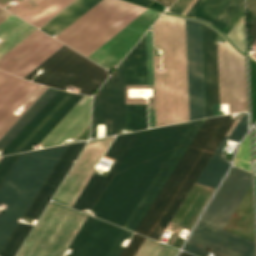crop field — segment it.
I'll return each instance as SVG.
<instances>
[{
	"label": "crop field",
	"mask_w": 256,
	"mask_h": 256,
	"mask_svg": "<svg viewBox=\"0 0 256 256\" xmlns=\"http://www.w3.org/2000/svg\"><path fill=\"white\" fill-rule=\"evenodd\" d=\"M248 9L253 13L252 21L256 18V0H248Z\"/></svg>",
	"instance_id": "obj_45"
},
{
	"label": "crop field",
	"mask_w": 256,
	"mask_h": 256,
	"mask_svg": "<svg viewBox=\"0 0 256 256\" xmlns=\"http://www.w3.org/2000/svg\"><path fill=\"white\" fill-rule=\"evenodd\" d=\"M238 123V122H237ZM235 127L234 124L230 127L227 135L232 131ZM248 131V123H247V114L239 121L233 131L229 136H225L219 147L211 157L210 161L202 171L201 175L197 179L196 183H200L203 185H207L210 187H216L219 180L227 170L230 163L226 162V160L222 156L223 148L226 144V139L229 138L234 141H239L243 135Z\"/></svg>",
	"instance_id": "obj_24"
},
{
	"label": "crop field",
	"mask_w": 256,
	"mask_h": 256,
	"mask_svg": "<svg viewBox=\"0 0 256 256\" xmlns=\"http://www.w3.org/2000/svg\"><path fill=\"white\" fill-rule=\"evenodd\" d=\"M205 36L207 59L208 106L210 117L211 103L219 102L217 45H214L213 42V40H217V32L205 26Z\"/></svg>",
	"instance_id": "obj_27"
},
{
	"label": "crop field",
	"mask_w": 256,
	"mask_h": 256,
	"mask_svg": "<svg viewBox=\"0 0 256 256\" xmlns=\"http://www.w3.org/2000/svg\"><path fill=\"white\" fill-rule=\"evenodd\" d=\"M145 240V237L140 236L138 234H134L128 247L122 250L121 254L119 256H135L138 249L142 245L143 241Z\"/></svg>",
	"instance_id": "obj_38"
},
{
	"label": "crop field",
	"mask_w": 256,
	"mask_h": 256,
	"mask_svg": "<svg viewBox=\"0 0 256 256\" xmlns=\"http://www.w3.org/2000/svg\"><path fill=\"white\" fill-rule=\"evenodd\" d=\"M242 5L243 0H228L210 23L222 30Z\"/></svg>",
	"instance_id": "obj_34"
},
{
	"label": "crop field",
	"mask_w": 256,
	"mask_h": 256,
	"mask_svg": "<svg viewBox=\"0 0 256 256\" xmlns=\"http://www.w3.org/2000/svg\"><path fill=\"white\" fill-rule=\"evenodd\" d=\"M99 1L100 0H76L63 12L42 27L41 30L51 36L57 35Z\"/></svg>",
	"instance_id": "obj_29"
},
{
	"label": "crop field",
	"mask_w": 256,
	"mask_h": 256,
	"mask_svg": "<svg viewBox=\"0 0 256 256\" xmlns=\"http://www.w3.org/2000/svg\"><path fill=\"white\" fill-rule=\"evenodd\" d=\"M191 0H177L176 3L170 8L171 12L181 14L184 8Z\"/></svg>",
	"instance_id": "obj_44"
},
{
	"label": "crop field",
	"mask_w": 256,
	"mask_h": 256,
	"mask_svg": "<svg viewBox=\"0 0 256 256\" xmlns=\"http://www.w3.org/2000/svg\"><path fill=\"white\" fill-rule=\"evenodd\" d=\"M220 103H228L230 113L247 109L245 56L229 42L218 45Z\"/></svg>",
	"instance_id": "obj_11"
},
{
	"label": "crop field",
	"mask_w": 256,
	"mask_h": 256,
	"mask_svg": "<svg viewBox=\"0 0 256 256\" xmlns=\"http://www.w3.org/2000/svg\"><path fill=\"white\" fill-rule=\"evenodd\" d=\"M131 234V232L122 229L106 256H118L123 249V247L120 246L122 241L129 238Z\"/></svg>",
	"instance_id": "obj_40"
},
{
	"label": "crop field",
	"mask_w": 256,
	"mask_h": 256,
	"mask_svg": "<svg viewBox=\"0 0 256 256\" xmlns=\"http://www.w3.org/2000/svg\"><path fill=\"white\" fill-rule=\"evenodd\" d=\"M159 14L148 9L88 58L103 67H115Z\"/></svg>",
	"instance_id": "obj_16"
},
{
	"label": "crop field",
	"mask_w": 256,
	"mask_h": 256,
	"mask_svg": "<svg viewBox=\"0 0 256 256\" xmlns=\"http://www.w3.org/2000/svg\"><path fill=\"white\" fill-rule=\"evenodd\" d=\"M35 85L0 71V121Z\"/></svg>",
	"instance_id": "obj_26"
},
{
	"label": "crop field",
	"mask_w": 256,
	"mask_h": 256,
	"mask_svg": "<svg viewBox=\"0 0 256 256\" xmlns=\"http://www.w3.org/2000/svg\"><path fill=\"white\" fill-rule=\"evenodd\" d=\"M196 0H192L191 3L187 6V8L183 11V15L186 14V12L190 9V7L195 3Z\"/></svg>",
	"instance_id": "obj_51"
},
{
	"label": "crop field",
	"mask_w": 256,
	"mask_h": 256,
	"mask_svg": "<svg viewBox=\"0 0 256 256\" xmlns=\"http://www.w3.org/2000/svg\"><path fill=\"white\" fill-rule=\"evenodd\" d=\"M125 84H147L145 37L124 59ZM127 88L147 85H125L126 103H146L142 98H127ZM127 128H147L146 104H126Z\"/></svg>",
	"instance_id": "obj_14"
},
{
	"label": "crop field",
	"mask_w": 256,
	"mask_h": 256,
	"mask_svg": "<svg viewBox=\"0 0 256 256\" xmlns=\"http://www.w3.org/2000/svg\"><path fill=\"white\" fill-rule=\"evenodd\" d=\"M8 15H10V13L0 8V22L4 20Z\"/></svg>",
	"instance_id": "obj_49"
},
{
	"label": "crop field",
	"mask_w": 256,
	"mask_h": 256,
	"mask_svg": "<svg viewBox=\"0 0 256 256\" xmlns=\"http://www.w3.org/2000/svg\"><path fill=\"white\" fill-rule=\"evenodd\" d=\"M154 88L156 126L189 120L184 20L161 16L154 24ZM165 67V73H156ZM164 72V68H157Z\"/></svg>",
	"instance_id": "obj_2"
},
{
	"label": "crop field",
	"mask_w": 256,
	"mask_h": 256,
	"mask_svg": "<svg viewBox=\"0 0 256 256\" xmlns=\"http://www.w3.org/2000/svg\"><path fill=\"white\" fill-rule=\"evenodd\" d=\"M146 48H147V72L148 84H153V65H152V39L151 31L146 34Z\"/></svg>",
	"instance_id": "obj_39"
},
{
	"label": "crop field",
	"mask_w": 256,
	"mask_h": 256,
	"mask_svg": "<svg viewBox=\"0 0 256 256\" xmlns=\"http://www.w3.org/2000/svg\"><path fill=\"white\" fill-rule=\"evenodd\" d=\"M112 139L113 137H108L89 141L87 147L55 194L54 201L71 207Z\"/></svg>",
	"instance_id": "obj_15"
},
{
	"label": "crop field",
	"mask_w": 256,
	"mask_h": 256,
	"mask_svg": "<svg viewBox=\"0 0 256 256\" xmlns=\"http://www.w3.org/2000/svg\"><path fill=\"white\" fill-rule=\"evenodd\" d=\"M85 218L51 202L17 256H62Z\"/></svg>",
	"instance_id": "obj_7"
},
{
	"label": "crop field",
	"mask_w": 256,
	"mask_h": 256,
	"mask_svg": "<svg viewBox=\"0 0 256 256\" xmlns=\"http://www.w3.org/2000/svg\"><path fill=\"white\" fill-rule=\"evenodd\" d=\"M213 191L214 188L194 183L167 226V229L174 231L167 244L178 248L181 247L184 240L178 237V231L181 227L191 229Z\"/></svg>",
	"instance_id": "obj_21"
},
{
	"label": "crop field",
	"mask_w": 256,
	"mask_h": 256,
	"mask_svg": "<svg viewBox=\"0 0 256 256\" xmlns=\"http://www.w3.org/2000/svg\"><path fill=\"white\" fill-rule=\"evenodd\" d=\"M140 133L141 131L121 134L114 139L106 155L115 157L117 160L115 161L106 177L93 173L90 180L73 205V208L79 210L84 208H92Z\"/></svg>",
	"instance_id": "obj_20"
},
{
	"label": "crop field",
	"mask_w": 256,
	"mask_h": 256,
	"mask_svg": "<svg viewBox=\"0 0 256 256\" xmlns=\"http://www.w3.org/2000/svg\"><path fill=\"white\" fill-rule=\"evenodd\" d=\"M251 36H252V44L256 40V19L251 24Z\"/></svg>",
	"instance_id": "obj_46"
},
{
	"label": "crop field",
	"mask_w": 256,
	"mask_h": 256,
	"mask_svg": "<svg viewBox=\"0 0 256 256\" xmlns=\"http://www.w3.org/2000/svg\"><path fill=\"white\" fill-rule=\"evenodd\" d=\"M189 124L142 131L93 207L95 216L124 227Z\"/></svg>",
	"instance_id": "obj_1"
},
{
	"label": "crop field",
	"mask_w": 256,
	"mask_h": 256,
	"mask_svg": "<svg viewBox=\"0 0 256 256\" xmlns=\"http://www.w3.org/2000/svg\"><path fill=\"white\" fill-rule=\"evenodd\" d=\"M179 256H192V255L187 254V253H185V252H181V254H180Z\"/></svg>",
	"instance_id": "obj_53"
},
{
	"label": "crop field",
	"mask_w": 256,
	"mask_h": 256,
	"mask_svg": "<svg viewBox=\"0 0 256 256\" xmlns=\"http://www.w3.org/2000/svg\"><path fill=\"white\" fill-rule=\"evenodd\" d=\"M243 15V6L241 9L236 13V15L230 20V22L225 26V28L222 30L226 35L228 32L232 29V27L237 23V21L241 18Z\"/></svg>",
	"instance_id": "obj_43"
},
{
	"label": "crop field",
	"mask_w": 256,
	"mask_h": 256,
	"mask_svg": "<svg viewBox=\"0 0 256 256\" xmlns=\"http://www.w3.org/2000/svg\"><path fill=\"white\" fill-rule=\"evenodd\" d=\"M202 35H203L204 82H205V106H206V117H208L207 83H206V59H205V36H204V25L203 24H202Z\"/></svg>",
	"instance_id": "obj_42"
},
{
	"label": "crop field",
	"mask_w": 256,
	"mask_h": 256,
	"mask_svg": "<svg viewBox=\"0 0 256 256\" xmlns=\"http://www.w3.org/2000/svg\"><path fill=\"white\" fill-rule=\"evenodd\" d=\"M252 56L254 58H256V48L255 47H253V49H252Z\"/></svg>",
	"instance_id": "obj_52"
},
{
	"label": "crop field",
	"mask_w": 256,
	"mask_h": 256,
	"mask_svg": "<svg viewBox=\"0 0 256 256\" xmlns=\"http://www.w3.org/2000/svg\"><path fill=\"white\" fill-rule=\"evenodd\" d=\"M97 124H105L106 136L126 128L123 61L94 97L91 137H96Z\"/></svg>",
	"instance_id": "obj_8"
},
{
	"label": "crop field",
	"mask_w": 256,
	"mask_h": 256,
	"mask_svg": "<svg viewBox=\"0 0 256 256\" xmlns=\"http://www.w3.org/2000/svg\"><path fill=\"white\" fill-rule=\"evenodd\" d=\"M230 40L244 51V27L243 16L227 35Z\"/></svg>",
	"instance_id": "obj_37"
},
{
	"label": "crop field",
	"mask_w": 256,
	"mask_h": 256,
	"mask_svg": "<svg viewBox=\"0 0 256 256\" xmlns=\"http://www.w3.org/2000/svg\"><path fill=\"white\" fill-rule=\"evenodd\" d=\"M6 1H8V0H0V3H5ZM21 1V0H20Z\"/></svg>",
	"instance_id": "obj_54"
},
{
	"label": "crop field",
	"mask_w": 256,
	"mask_h": 256,
	"mask_svg": "<svg viewBox=\"0 0 256 256\" xmlns=\"http://www.w3.org/2000/svg\"><path fill=\"white\" fill-rule=\"evenodd\" d=\"M204 121L205 119L198 120V122L197 121L191 122L188 129L182 136L181 140L173 150L172 154L170 155V157L162 167L161 171L155 178L154 182L146 192L145 196L137 206L136 210L128 220L127 224L125 225V228L135 231L138 224L144 217L145 213L149 209L150 205L156 198L157 194L163 187L164 183L168 179L169 175L171 174L176 164L178 163V161L180 160V158L188 148L189 144L195 137L196 133L198 132V130L200 129ZM196 122H197V125L194 126Z\"/></svg>",
	"instance_id": "obj_19"
},
{
	"label": "crop field",
	"mask_w": 256,
	"mask_h": 256,
	"mask_svg": "<svg viewBox=\"0 0 256 256\" xmlns=\"http://www.w3.org/2000/svg\"><path fill=\"white\" fill-rule=\"evenodd\" d=\"M23 1V0H22ZM73 0H24L10 12L40 27Z\"/></svg>",
	"instance_id": "obj_25"
},
{
	"label": "crop field",
	"mask_w": 256,
	"mask_h": 256,
	"mask_svg": "<svg viewBox=\"0 0 256 256\" xmlns=\"http://www.w3.org/2000/svg\"><path fill=\"white\" fill-rule=\"evenodd\" d=\"M183 250L197 256H255L253 241L201 220Z\"/></svg>",
	"instance_id": "obj_9"
},
{
	"label": "crop field",
	"mask_w": 256,
	"mask_h": 256,
	"mask_svg": "<svg viewBox=\"0 0 256 256\" xmlns=\"http://www.w3.org/2000/svg\"><path fill=\"white\" fill-rule=\"evenodd\" d=\"M226 1L227 0H203L191 17L194 15L196 18L210 22Z\"/></svg>",
	"instance_id": "obj_35"
},
{
	"label": "crop field",
	"mask_w": 256,
	"mask_h": 256,
	"mask_svg": "<svg viewBox=\"0 0 256 256\" xmlns=\"http://www.w3.org/2000/svg\"><path fill=\"white\" fill-rule=\"evenodd\" d=\"M250 144H249V134L246 136L244 141L241 143L234 165L250 171Z\"/></svg>",
	"instance_id": "obj_36"
},
{
	"label": "crop field",
	"mask_w": 256,
	"mask_h": 256,
	"mask_svg": "<svg viewBox=\"0 0 256 256\" xmlns=\"http://www.w3.org/2000/svg\"><path fill=\"white\" fill-rule=\"evenodd\" d=\"M251 182V174L232 167L201 220L223 228Z\"/></svg>",
	"instance_id": "obj_17"
},
{
	"label": "crop field",
	"mask_w": 256,
	"mask_h": 256,
	"mask_svg": "<svg viewBox=\"0 0 256 256\" xmlns=\"http://www.w3.org/2000/svg\"><path fill=\"white\" fill-rule=\"evenodd\" d=\"M176 252L175 248L146 238L136 256H175Z\"/></svg>",
	"instance_id": "obj_33"
},
{
	"label": "crop field",
	"mask_w": 256,
	"mask_h": 256,
	"mask_svg": "<svg viewBox=\"0 0 256 256\" xmlns=\"http://www.w3.org/2000/svg\"><path fill=\"white\" fill-rule=\"evenodd\" d=\"M158 1L164 4L165 6H170L175 0H158Z\"/></svg>",
	"instance_id": "obj_50"
},
{
	"label": "crop field",
	"mask_w": 256,
	"mask_h": 256,
	"mask_svg": "<svg viewBox=\"0 0 256 256\" xmlns=\"http://www.w3.org/2000/svg\"><path fill=\"white\" fill-rule=\"evenodd\" d=\"M90 104L91 98L84 96L40 144L47 147L60 144L66 138L74 139L89 124ZM40 144L36 148H41Z\"/></svg>",
	"instance_id": "obj_23"
},
{
	"label": "crop field",
	"mask_w": 256,
	"mask_h": 256,
	"mask_svg": "<svg viewBox=\"0 0 256 256\" xmlns=\"http://www.w3.org/2000/svg\"><path fill=\"white\" fill-rule=\"evenodd\" d=\"M40 85L36 84L28 94L9 112V114L0 122V138L5 134V132L22 116V114L39 98V96L47 89V87L43 86L33 97H31L26 105L24 106V110L18 115L12 114L14 110L22 104L33 94V92L39 87ZM37 91V90H36ZM35 91V92H36ZM34 92V93H35Z\"/></svg>",
	"instance_id": "obj_31"
},
{
	"label": "crop field",
	"mask_w": 256,
	"mask_h": 256,
	"mask_svg": "<svg viewBox=\"0 0 256 256\" xmlns=\"http://www.w3.org/2000/svg\"><path fill=\"white\" fill-rule=\"evenodd\" d=\"M17 155H11V156H6L2 157L0 160V182L4 178L5 174L13 164L14 160L16 159Z\"/></svg>",
	"instance_id": "obj_41"
},
{
	"label": "crop field",
	"mask_w": 256,
	"mask_h": 256,
	"mask_svg": "<svg viewBox=\"0 0 256 256\" xmlns=\"http://www.w3.org/2000/svg\"><path fill=\"white\" fill-rule=\"evenodd\" d=\"M82 97L60 91L0 155L26 151L38 144Z\"/></svg>",
	"instance_id": "obj_10"
},
{
	"label": "crop field",
	"mask_w": 256,
	"mask_h": 256,
	"mask_svg": "<svg viewBox=\"0 0 256 256\" xmlns=\"http://www.w3.org/2000/svg\"><path fill=\"white\" fill-rule=\"evenodd\" d=\"M145 10L121 0H102L54 38L88 57Z\"/></svg>",
	"instance_id": "obj_5"
},
{
	"label": "crop field",
	"mask_w": 256,
	"mask_h": 256,
	"mask_svg": "<svg viewBox=\"0 0 256 256\" xmlns=\"http://www.w3.org/2000/svg\"><path fill=\"white\" fill-rule=\"evenodd\" d=\"M255 140H256V127H255Z\"/></svg>",
	"instance_id": "obj_55"
},
{
	"label": "crop field",
	"mask_w": 256,
	"mask_h": 256,
	"mask_svg": "<svg viewBox=\"0 0 256 256\" xmlns=\"http://www.w3.org/2000/svg\"><path fill=\"white\" fill-rule=\"evenodd\" d=\"M66 146L19 154L0 184V202L8 204L0 209V250L23 217Z\"/></svg>",
	"instance_id": "obj_4"
},
{
	"label": "crop field",
	"mask_w": 256,
	"mask_h": 256,
	"mask_svg": "<svg viewBox=\"0 0 256 256\" xmlns=\"http://www.w3.org/2000/svg\"><path fill=\"white\" fill-rule=\"evenodd\" d=\"M130 1H133V2L140 3V4H143V5L148 6V5H149L150 3H152L154 0H130Z\"/></svg>",
	"instance_id": "obj_48"
},
{
	"label": "crop field",
	"mask_w": 256,
	"mask_h": 256,
	"mask_svg": "<svg viewBox=\"0 0 256 256\" xmlns=\"http://www.w3.org/2000/svg\"><path fill=\"white\" fill-rule=\"evenodd\" d=\"M85 144L86 142L68 145L67 149L25 214V217L38 220L41 212L72 165V160L76 159Z\"/></svg>",
	"instance_id": "obj_22"
},
{
	"label": "crop field",
	"mask_w": 256,
	"mask_h": 256,
	"mask_svg": "<svg viewBox=\"0 0 256 256\" xmlns=\"http://www.w3.org/2000/svg\"><path fill=\"white\" fill-rule=\"evenodd\" d=\"M40 66L45 70L33 81L64 90L68 86L80 88L83 90L71 87L67 90L76 93L81 91L80 93L88 95H93L108 77L106 70L65 45ZM36 69L32 70L33 72L28 76L26 75L25 79L31 80L36 74Z\"/></svg>",
	"instance_id": "obj_6"
},
{
	"label": "crop field",
	"mask_w": 256,
	"mask_h": 256,
	"mask_svg": "<svg viewBox=\"0 0 256 256\" xmlns=\"http://www.w3.org/2000/svg\"><path fill=\"white\" fill-rule=\"evenodd\" d=\"M190 120L205 117L201 24L185 20Z\"/></svg>",
	"instance_id": "obj_13"
},
{
	"label": "crop field",
	"mask_w": 256,
	"mask_h": 256,
	"mask_svg": "<svg viewBox=\"0 0 256 256\" xmlns=\"http://www.w3.org/2000/svg\"><path fill=\"white\" fill-rule=\"evenodd\" d=\"M202 0H197L196 3L191 7V9L187 12V16H190L193 11L197 8V6L200 4Z\"/></svg>",
	"instance_id": "obj_47"
},
{
	"label": "crop field",
	"mask_w": 256,
	"mask_h": 256,
	"mask_svg": "<svg viewBox=\"0 0 256 256\" xmlns=\"http://www.w3.org/2000/svg\"><path fill=\"white\" fill-rule=\"evenodd\" d=\"M63 45L36 29L0 59V69L24 78Z\"/></svg>",
	"instance_id": "obj_12"
},
{
	"label": "crop field",
	"mask_w": 256,
	"mask_h": 256,
	"mask_svg": "<svg viewBox=\"0 0 256 256\" xmlns=\"http://www.w3.org/2000/svg\"><path fill=\"white\" fill-rule=\"evenodd\" d=\"M120 231L121 228L87 216L69 245L74 249L71 256H105Z\"/></svg>",
	"instance_id": "obj_18"
},
{
	"label": "crop field",
	"mask_w": 256,
	"mask_h": 256,
	"mask_svg": "<svg viewBox=\"0 0 256 256\" xmlns=\"http://www.w3.org/2000/svg\"><path fill=\"white\" fill-rule=\"evenodd\" d=\"M58 92H59L58 90L48 88L41 95V97L24 113V115L0 139V148L4 149Z\"/></svg>",
	"instance_id": "obj_30"
},
{
	"label": "crop field",
	"mask_w": 256,
	"mask_h": 256,
	"mask_svg": "<svg viewBox=\"0 0 256 256\" xmlns=\"http://www.w3.org/2000/svg\"><path fill=\"white\" fill-rule=\"evenodd\" d=\"M33 226L19 223L5 246L0 252V256H15L23 241L29 234Z\"/></svg>",
	"instance_id": "obj_32"
},
{
	"label": "crop field",
	"mask_w": 256,
	"mask_h": 256,
	"mask_svg": "<svg viewBox=\"0 0 256 256\" xmlns=\"http://www.w3.org/2000/svg\"><path fill=\"white\" fill-rule=\"evenodd\" d=\"M230 116L206 119L136 232L158 240L233 122Z\"/></svg>",
	"instance_id": "obj_3"
},
{
	"label": "crop field",
	"mask_w": 256,
	"mask_h": 256,
	"mask_svg": "<svg viewBox=\"0 0 256 256\" xmlns=\"http://www.w3.org/2000/svg\"><path fill=\"white\" fill-rule=\"evenodd\" d=\"M36 28L10 15L0 23V58Z\"/></svg>",
	"instance_id": "obj_28"
}]
</instances>
